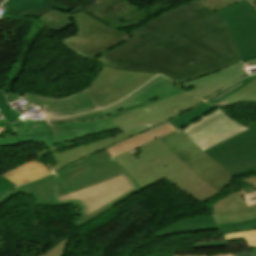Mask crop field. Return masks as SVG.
I'll list each match as a JSON object with an SVG mask.
<instances>
[{"mask_svg": "<svg viewBox=\"0 0 256 256\" xmlns=\"http://www.w3.org/2000/svg\"><path fill=\"white\" fill-rule=\"evenodd\" d=\"M70 51L115 69L163 74L182 83L241 64L225 21L193 0L147 22L128 35L83 11H51L38 18ZM176 83V84H177Z\"/></svg>", "mask_w": 256, "mask_h": 256, "instance_id": "obj_1", "label": "crop field"}, {"mask_svg": "<svg viewBox=\"0 0 256 256\" xmlns=\"http://www.w3.org/2000/svg\"><path fill=\"white\" fill-rule=\"evenodd\" d=\"M140 190L130 174L103 150L12 190L0 198V204L20 191L32 194L35 204L74 203L81 209L80 222L84 224Z\"/></svg>", "mask_w": 256, "mask_h": 256, "instance_id": "obj_2", "label": "crop field"}, {"mask_svg": "<svg viewBox=\"0 0 256 256\" xmlns=\"http://www.w3.org/2000/svg\"><path fill=\"white\" fill-rule=\"evenodd\" d=\"M155 75L157 74L115 70L104 66L89 88L67 98L54 99L12 92H6V96L9 103L23 97L30 103L41 106L44 115H73L110 105L138 89Z\"/></svg>", "mask_w": 256, "mask_h": 256, "instance_id": "obj_3", "label": "crop field"}, {"mask_svg": "<svg viewBox=\"0 0 256 256\" xmlns=\"http://www.w3.org/2000/svg\"><path fill=\"white\" fill-rule=\"evenodd\" d=\"M115 159L142 189L166 178L201 202L219 194L190 172L159 139L119 155Z\"/></svg>", "mask_w": 256, "mask_h": 256, "instance_id": "obj_4", "label": "crop field"}, {"mask_svg": "<svg viewBox=\"0 0 256 256\" xmlns=\"http://www.w3.org/2000/svg\"><path fill=\"white\" fill-rule=\"evenodd\" d=\"M199 102H201V100L192 98L184 92L113 118L111 120L124 133L116 134L107 139L53 155L55 161L58 163L54 164L53 170L55 171L134 134L166 122L190 110ZM174 106H176V108H174Z\"/></svg>", "mask_w": 256, "mask_h": 256, "instance_id": "obj_5", "label": "crop field"}, {"mask_svg": "<svg viewBox=\"0 0 256 256\" xmlns=\"http://www.w3.org/2000/svg\"><path fill=\"white\" fill-rule=\"evenodd\" d=\"M175 85L167 78L158 75L135 93L110 107L83 115L44 118L54 131L56 142H67L92 134L116 130L118 127L106 116L130 104L159 98Z\"/></svg>", "mask_w": 256, "mask_h": 256, "instance_id": "obj_6", "label": "crop field"}, {"mask_svg": "<svg viewBox=\"0 0 256 256\" xmlns=\"http://www.w3.org/2000/svg\"><path fill=\"white\" fill-rule=\"evenodd\" d=\"M215 108L204 102L192 111L190 110L191 112L169 122L178 131L164 136L160 140L189 170L220 193L232 181V175L206 156L179 130Z\"/></svg>", "mask_w": 256, "mask_h": 256, "instance_id": "obj_7", "label": "crop field"}, {"mask_svg": "<svg viewBox=\"0 0 256 256\" xmlns=\"http://www.w3.org/2000/svg\"><path fill=\"white\" fill-rule=\"evenodd\" d=\"M215 14L227 22L242 62L256 57V9L243 0Z\"/></svg>", "mask_w": 256, "mask_h": 256, "instance_id": "obj_8", "label": "crop field"}, {"mask_svg": "<svg viewBox=\"0 0 256 256\" xmlns=\"http://www.w3.org/2000/svg\"><path fill=\"white\" fill-rule=\"evenodd\" d=\"M247 129L226 116L221 108L207 113L181 128L202 151Z\"/></svg>", "mask_w": 256, "mask_h": 256, "instance_id": "obj_9", "label": "crop field"}, {"mask_svg": "<svg viewBox=\"0 0 256 256\" xmlns=\"http://www.w3.org/2000/svg\"><path fill=\"white\" fill-rule=\"evenodd\" d=\"M247 76L243 65H237L211 75L180 84L189 94L203 100L211 97L222 88Z\"/></svg>", "mask_w": 256, "mask_h": 256, "instance_id": "obj_10", "label": "crop field"}, {"mask_svg": "<svg viewBox=\"0 0 256 256\" xmlns=\"http://www.w3.org/2000/svg\"><path fill=\"white\" fill-rule=\"evenodd\" d=\"M249 129L204 151L206 155L221 164L256 150V122Z\"/></svg>", "mask_w": 256, "mask_h": 256, "instance_id": "obj_11", "label": "crop field"}, {"mask_svg": "<svg viewBox=\"0 0 256 256\" xmlns=\"http://www.w3.org/2000/svg\"><path fill=\"white\" fill-rule=\"evenodd\" d=\"M213 217L217 224L256 218V205L247 207L241 194L237 191L214 204Z\"/></svg>", "mask_w": 256, "mask_h": 256, "instance_id": "obj_12", "label": "crop field"}, {"mask_svg": "<svg viewBox=\"0 0 256 256\" xmlns=\"http://www.w3.org/2000/svg\"><path fill=\"white\" fill-rule=\"evenodd\" d=\"M3 6L7 7L1 18L18 19L22 17H36L56 9L67 12L70 8L49 0H7Z\"/></svg>", "mask_w": 256, "mask_h": 256, "instance_id": "obj_13", "label": "crop field"}, {"mask_svg": "<svg viewBox=\"0 0 256 256\" xmlns=\"http://www.w3.org/2000/svg\"><path fill=\"white\" fill-rule=\"evenodd\" d=\"M218 229L219 228L215 224L212 215H208L194 218H186L173 226L156 232L154 236L156 238L162 239L172 234Z\"/></svg>", "mask_w": 256, "mask_h": 256, "instance_id": "obj_14", "label": "crop field"}, {"mask_svg": "<svg viewBox=\"0 0 256 256\" xmlns=\"http://www.w3.org/2000/svg\"><path fill=\"white\" fill-rule=\"evenodd\" d=\"M174 131H176V129L172 127L169 123H166L152 131L140 134L111 148H108L106 149V151L110 153L113 157H115L144 143H147L155 138H160Z\"/></svg>", "mask_w": 256, "mask_h": 256, "instance_id": "obj_15", "label": "crop field"}, {"mask_svg": "<svg viewBox=\"0 0 256 256\" xmlns=\"http://www.w3.org/2000/svg\"><path fill=\"white\" fill-rule=\"evenodd\" d=\"M50 173L51 171L48 168H46L41 162L35 160L2 175L18 186L40 177L47 176Z\"/></svg>", "mask_w": 256, "mask_h": 256, "instance_id": "obj_16", "label": "crop field"}, {"mask_svg": "<svg viewBox=\"0 0 256 256\" xmlns=\"http://www.w3.org/2000/svg\"><path fill=\"white\" fill-rule=\"evenodd\" d=\"M22 142H42L48 147L49 150H51L52 155L57 153L55 147V139L52 131L0 138V147H5Z\"/></svg>", "mask_w": 256, "mask_h": 256, "instance_id": "obj_17", "label": "crop field"}, {"mask_svg": "<svg viewBox=\"0 0 256 256\" xmlns=\"http://www.w3.org/2000/svg\"><path fill=\"white\" fill-rule=\"evenodd\" d=\"M235 178L246 173H256V151L221 164Z\"/></svg>", "mask_w": 256, "mask_h": 256, "instance_id": "obj_18", "label": "crop field"}, {"mask_svg": "<svg viewBox=\"0 0 256 256\" xmlns=\"http://www.w3.org/2000/svg\"><path fill=\"white\" fill-rule=\"evenodd\" d=\"M243 101L256 102V78L253 81H251L248 85H246L244 88L239 90L238 92L218 102L220 103V105H218V103L214 105L226 107L228 105L236 104L238 102H243Z\"/></svg>", "mask_w": 256, "mask_h": 256, "instance_id": "obj_19", "label": "crop field"}, {"mask_svg": "<svg viewBox=\"0 0 256 256\" xmlns=\"http://www.w3.org/2000/svg\"><path fill=\"white\" fill-rule=\"evenodd\" d=\"M11 126L17 134L51 130L49 125L44 121V118L42 120H31L28 118L24 120L22 123L17 122L11 124Z\"/></svg>", "mask_w": 256, "mask_h": 256, "instance_id": "obj_20", "label": "crop field"}, {"mask_svg": "<svg viewBox=\"0 0 256 256\" xmlns=\"http://www.w3.org/2000/svg\"><path fill=\"white\" fill-rule=\"evenodd\" d=\"M255 77H256V75L247 76V77L239 80L238 82L232 84L231 86L227 87L226 89L220 91L215 96L211 97L210 99H208L206 101H208L209 103L214 104V103L230 96L231 94H233L237 90L241 89L242 87H244L246 84H248Z\"/></svg>", "mask_w": 256, "mask_h": 256, "instance_id": "obj_21", "label": "crop field"}, {"mask_svg": "<svg viewBox=\"0 0 256 256\" xmlns=\"http://www.w3.org/2000/svg\"><path fill=\"white\" fill-rule=\"evenodd\" d=\"M0 111L9 121V123H14L23 119L27 116L20 115L16 110L12 109L5 100L4 93L0 91ZM4 117V118H5Z\"/></svg>", "mask_w": 256, "mask_h": 256, "instance_id": "obj_22", "label": "crop field"}, {"mask_svg": "<svg viewBox=\"0 0 256 256\" xmlns=\"http://www.w3.org/2000/svg\"><path fill=\"white\" fill-rule=\"evenodd\" d=\"M219 228L222 230L223 234L228 233H235L239 231L255 229L256 228V219L240 222V223H233V224H222L218 225Z\"/></svg>", "mask_w": 256, "mask_h": 256, "instance_id": "obj_23", "label": "crop field"}, {"mask_svg": "<svg viewBox=\"0 0 256 256\" xmlns=\"http://www.w3.org/2000/svg\"><path fill=\"white\" fill-rule=\"evenodd\" d=\"M241 0H200L203 5L215 12ZM256 8V0H247Z\"/></svg>", "mask_w": 256, "mask_h": 256, "instance_id": "obj_24", "label": "crop field"}, {"mask_svg": "<svg viewBox=\"0 0 256 256\" xmlns=\"http://www.w3.org/2000/svg\"><path fill=\"white\" fill-rule=\"evenodd\" d=\"M226 242L246 239L251 249L256 247V230L224 235Z\"/></svg>", "mask_w": 256, "mask_h": 256, "instance_id": "obj_25", "label": "crop field"}, {"mask_svg": "<svg viewBox=\"0 0 256 256\" xmlns=\"http://www.w3.org/2000/svg\"><path fill=\"white\" fill-rule=\"evenodd\" d=\"M181 92H184V91H183L182 89H180V88L176 85V86L173 87L165 96H163V97H161V98H159V99H155V100H152V101H150V102H145V103H142V104L130 105V106L124 108L123 110H121V111L118 112V113L111 114L110 116H108V118L111 119V118H113V117H116V116L121 115V114H123V113H126V112H128V111H131V110H133V109H135V108H138V107H140V106L149 104V103H151V102H154V101H157V100H160V99H163V98H165V97H168V96H171V95H174V94H177V93H181ZM123 111H125V112H123Z\"/></svg>", "mask_w": 256, "mask_h": 256, "instance_id": "obj_26", "label": "crop field"}, {"mask_svg": "<svg viewBox=\"0 0 256 256\" xmlns=\"http://www.w3.org/2000/svg\"><path fill=\"white\" fill-rule=\"evenodd\" d=\"M68 238L63 240L61 243L56 245L54 248H52L50 251H48L45 255L43 256H63L66 244L68 242Z\"/></svg>", "mask_w": 256, "mask_h": 256, "instance_id": "obj_27", "label": "crop field"}, {"mask_svg": "<svg viewBox=\"0 0 256 256\" xmlns=\"http://www.w3.org/2000/svg\"><path fill=\"white\" fill-rule=\"evenodd\" d=\"M227 246L225 240L193 243L194 248Z\"/></svg>", "mask_w": 256, "mask_h": 256, "instance_id": "obj_28", "label": "crop field"}, {"mask_svg": "<svg viewBox=\"0 0 256 256\" xmlns=\"http://www.w3.org/2000/svg\"><path fill=\"white\" fill-rule=\"evenodd\" d=\"M14 187L16 186L13 183L4 178L2 175L0 176V196Z\"/></svg>", "mask_w": 256, "mask_h": 256, "instance_id": "obj_29", "label": "crop field"}, {"mask_svg": "<svg viewBox=\"0 0 256 256\" xmlns=\"http://www.w3.org/2000/svg\"><path fill=\"white\" fill-rule=\"evenodd\" d=\"M247 206L256 204V191L243 195Z\"/></svg>", "mask_w": 256, "mask_h": 256, "instance_id": "obj_30", "label": "crop field"}, {"mask_svg": "<svg viewBox=\"0 0 256 256\" xmlns=\"http://www.w3.org/2000/svg\"><path fill=\"white\" fill-rule=\"evenodd\" d=\"M233 255L234 256H256V248L252 249V252H243V253H237Z\"/></svg>", "mask_w": 256, "mask_h": 256, "instance_id": "obj_31", "label": "crop field"}, {"mask_svg": "<svg viewBox=\"0 0 256 256\" xmlns=\"http://www.w3.org/2000/svg\"><path fill=\"white\" fill-rule=\"evenodd\" d=\"M238 181H241V182H244V183H247V184L253 185V184H255V183H256V177H251V178L241 179V180H238Z\"/></svg>", "mask_w": 256, "mask_h": 256, "instance_id": "obj_32", "label": "crop field"}, {"mask_svg": "<svg viewBox=\"0 0 256 256\" xmlns=\"http://www.w3.org/2000/svg\"><path fill=\"white\" fill-rule=\"evenodd\" d=\"M174 256H232V254H210V255H174Z\"/></svg>", "mask_w": 256, "mask_h": 256, "instance_id": "obj_33", "label": "crop field"}, {"mask_svg": "<svg viewBox=\"0 0 256 256\" xmlns=\"http://www.w3.org/2000/svg\"><path fill=\"white\" fill-rule=\"evenodd\" d=\"M245 65H246V67L255 66L256 65V58H252V59H249V60L245 61Z\"/></svg>", "mask_w": 256, "mask_h": 256, "instance_id": "obj_34", "label": "crop field"}, {"mask_svg": "<svg viewBox=\"0 0 256 256\" xmlns=\"http://www.w3.org/2000/svg\"><path fill=\"white\" fill-rule=\"evenodd\" d=\"M3 119L0 120V125L8 123L7 120L4 118V116L0 113Z\"/></svg>", "mask_w": 256, "mask_h": 256, "instance_id": "obj_35", "label": "crop field"}, {"mask_svg": "<svg viewBox=\"0 0 256 256\" xmlns=\"http://www.w3.org/2000/svg\"><path fill=\"white\" fill-rule=\"evenodd\" d=\"M4 0H0V5H1V3L3 2Z\"/></svg>", "mask_w": 256, "mask_h": 256, "instance_id": "obj_36", "label": "crop field"}]
</instances>
